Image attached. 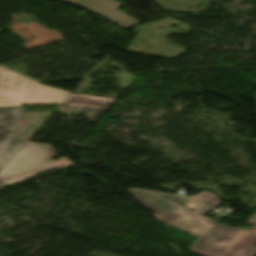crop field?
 <instances>
[{
	"instance_id": "1",
	"label": "crop field",
	"mask_w": 256,
	"mask_h": 256,
	"mask_svg": "<svg viewBox=\"0 0 256 256\" xmlns=\"http://www.w3.org/2000/svg\"><path fill=\"white\" fill-rule=\"evenodd\" d=\"M161 223L199 240L189 250L204 256H255L256 228L238 229L218 224L204 214L211 211L179 195L126 190Z\"/></svg>"
},
{
	"instance_id": "2",
	"label": "crop field",
	"mask_w": 256,
	"mask_h": 256,
	"mask_svg": "<svg viewBox=\"0 0 256 256\" xmlns=\"http://www.w3.org/2000/svg\"><path fill=\"white\" fill-rule=\"evenodd\" d=\"M50 145L27 142L0 172V188L31 178L36 174L71 165L67 159L53 161Z\"/></svg>"
},
{
	"instance_id": "3",
	"label": "crop field",
	"mask_w": 256,
	"mask_h": 256,
	"mask_svg": "<svg viewBox=\"0 0 256 256\" xmlns=\"http://www.w3.org/2000/svg\"><path fill=\"white\" fill-rule=\"evenodd\" d=\"M70 92L35 83L0 67V106L62 104Z\"/></svg>"
},
{
	"instance_id": "4",
	"label": "crop field",
	"mask_w": 256,
	"mask_h": 256,
	"mask_svg": "<svg viewBox=\"0 0 256 256\" xmlns=\"http://www.w3.org/2000/svg\"><path fill=\"white\" fill-rule=\"evenodd\" d=\"M24 107H0V171L26 143L15 128Z\"/></svg>"
},
{
	"instance_id": "5",
	"label": "crop field",
	"mask_w": 256,
	"mask_h": 256,
	"mask_svg": "<svg viewBox=\"0 0 256 256\" xmlns=\"http://www.w3.org/2000/svg\"><path fill=\"white\" fill-rule=\"evenodd\" d=\"M67 3H75L125 29H128L138 23L139 21L130 16L116 10L122 5L112 0H54Z\"/></svg>"
},
{
	"instance_id": "6",
	"label": "crop field",
	"mask_w": 256,
	"mask_h": 256,
	"mask_svg": "<svg viewBox=\"0 0 256 256\" xmlns=\"http://www.w3.org/2000/svg\"><path fill=\"white\" fill-rule=\"evenodd\" d=\"M115 101L116 99L70 94L60 107L94 111L87 121L89 123H95Z\"/></svg>"
},
{
	"instance_id": "7",
	"label": "crop field",
	"mask_w": 256,
	"mask_h": 256,
	"mask_svg": "<svg viewBox=\"0 0 256 256\" xmlns=\"http://www.w3.org/2000/svg\"><path fill=\"white\" fill-rule=\"evenodd\" d=\"M191 200H194L200 204H203L207 207H214L216 208L220 202L218 196L211 194L209 192H201L195 196L187 197Z\"/></svg>"
},
{
	"instance_id": "8",
	"label": "crop field",
	"mask_w": 256,
	"mask_h": 256,
	"mask_svg": "<svg viewBox=\"0 0 256 256\" xmlns=\"http://www.w3.org/2000/svg\"><path fill=\"white\" fill-rule=\"evenodd\" d=\"M248 224H252L256 226V213L250 218Z\"/></svg>"
}]
</instances>
